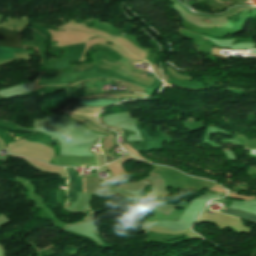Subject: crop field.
<instances>
[{
    "instance_id": "crop-field-1",
    "label": "crop field",
    "mask_w": 256,
    "mask_h": 256,
    "mask_svg": "<svg viewBox=\"0 0 256 256\" xmlns=\"http://www.w3.org/2000/svg\"><path fill=\"white\" fill-rule=\"evenodd\" d=\"M0 46L12 48L21 47V33L12 32L0 27ZM0 47V59L13 58V53L26 52V49H11Z\"/></svg>"
},
{
    "instance_id": "crop-field-2",
    "label": "crop field",
    "mask_w": 256,
    "mask_h": 256,
    "mask_svg": "<svg viewBox=\"0 0 256 256\" xmlns=\"http://www.w3.org/2000/svg\"><path fill=\"white\" fill-rule=\"evenodd\" d=\"M66 172L69 176V183L67 187L68 202H75L77 199V191L84 192L82 177H76V173L73 171V168H67Z\"/></svg>"
},
{
    "instance_id": "crop-field-3",
    "label": "crop field",
    "mask_w": 256,
    "mask_h": 256,
    "mask_svg": "<svg viewBox=\"0 0 256 256\" xmlns=\"http://www.w3.org/2000/svg\"><path fill=\"white\" fill-rule=\"evenodd\" d=\"M223 213L233 215V216H237V217L244 218V219H249V220H252V221L256 222V215H252V214L242 212V211H239V210L228 209V210L224 211Z\"/></svg>"
},
{
    "instance_id": "crop-field-4",
    "label": "crop field",
    "mask_w": 256,
    "mask_h": 256,
    "mask_svg": "<svg viewBox=\"0 0 256 256\" xmlns=\"http://www.w3.org/2000/svg\"><path fill=\"white\" fill-rule=\"evenodd\" d=\"M250 153L255 154L256 155V150H250Z\"/></svg>"
},
{
    "instance_id": "crop-field-5",
    "label": "crop field",
    "mask_w": 256,
    "mask_h": 256,
    "mask_svg": "<svg viewBox=\"0 0 256 256\" xmlns=\"http://www.w3.org/2000/svg\"><path fill=\"white\" fill-rule=\"evenodd\" d=\"M112 178H115V177H112Z\"/></svg>"
}]
</instances>
